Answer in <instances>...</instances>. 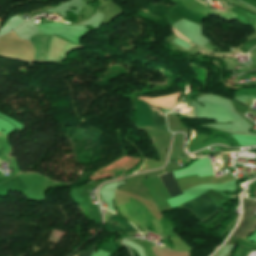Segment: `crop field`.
<instances>
[{"label": "crop field", "instance_id": "crop-field-7", "mask_svg": "<svg viewBox=\"0 0 256 256\" xmlns=\"http://www.w3.org/2000/svg\"><path fill=\"white\" fill-rule=\"evenodd\" d=\"M172 30H173V32H174L176 35L180 36L182 39H184V40H186V41H188V42H191V41H189L187 38H185L183 35H181L174 27L172 28Z\"/></svg>", "mask_w": 256, "mask_h": 256}, {"label": "crop field", "instance_id": "crop-field-3", "mask_svg": "<svg viewBox=\"0 0 256 256\" xmlns=\"http://www.w3.org/2000/svg\"><path fill=\"white\" fill-rule=\"evenodd\" d=\"M114 222L118 223V226H114L113 225ZM106 223H107L106 231H108L110 233L114 230L137 232V230L135 228H133L128 222H126L114 215L110 216Z\"/></svg>", "mask_w": 256, "mask_h": 256}, {"label": "crop field", "instance_id": "crop-field-1", "mask_svg": "<svg viewBox=\"0 0 256 256\" xmlns=\"http://www.w3.org/2000/svg\"><path fill=\"white\" fill-rule=\"evenodd\" d=\"M189 202L207 219L222 209L217 207L205 193Z\"/></svg>", "mask_w": 256, "mask_h": 256}, {"label": "crop field", "instance_id": "crop-field-6", "mask_svg": "<svg viewBox=\"0 0 256 256\" xmlns=\"http://www.w3.org/2000/svg\"><path fill=\"white\" fill-rule=\"evenodd\" d=\"M95 246H92V248L88 251L82 252L79 256H92L94 253Z\"/></svg>", "mask_w": 256, "mask_h": 256}, {"label": "crop field", "instance_id": "crop-field-4", "mask_svg": "<svg viewBox=\"0 0 256 256\" xmlns=\"http://www.w3.org/2000/svg\"><path fill=\"white\" fill-rule=\"evenodd\" d=\"M160 177H161L166 189L172 196V198L182 195V192H181L172 172L168 173L166 175H162Z\"/></svg>", "mask_w": 256, "mask_h": 256}, {"label": "crop field", "instance_id": "crop-field-5", "mask_svg": "<svg viewBox=\"0 0 256 256\" xmlns=\"http://www.w3.org/2000/svg\"><path fill=\"white\" fill-rule=\"evenodd\" d=\"M179 207H183V208L189 209L192 213H194L202 221L206 220L191 204H189L187 202L182 204V205H180Z\"/></svg>", "mask_w": 256, "mask_h": 256}, {"label": "crop field", "instance_id": "crop-field-8", "mask_svg": "<svg viewBox=\"0 0 256 256\" xmlns=\"http://www.w3.org/2000/svg\"><path fill=\"white\" fill-rule=\"evenodd\" d=\"M197 1H199V0H197ZM200 3H202L203 5H205L203 2H201V1H199ZM205 6H207V5H205Z\"/></svg>", "mask_w": 256, "mask_h": 256}, {"label": "crop field", "instance_id": "crop-field-2", "mask_svg": "<svg viewBox=\"0 0 256 256\" xmlns=\"http://www.w3.org/2000/svg\"><path fill=\"white\" fill-rule=\"evenodd\" d=\"M52 36H47L42 33H39L37 35H34L31 38V42L33 46L36 49L37 56L35 61H44L46 57V53L50 44ZM41 53H43L45 56H42Z\"/></svg>", "mask_w": 256, "mask_h": 256}, {"label": "crop field", "instance_id": "crop-field-9", "mask_svg": "<svg viewBox=\"0 0 256 256\" xmlns=\"http://www.w3.org/2000/svg\"><path fill=\"white\" fill-rule=\"evenodd\" d=\"M191 45V44H190ZM193 45H191V47H192Z\"/></svg>", "mask_w": 256, "mask_h": 256}]
</instances>
